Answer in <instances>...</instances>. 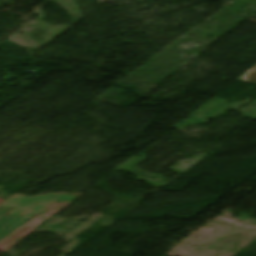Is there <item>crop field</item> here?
I'll list each match as a JSON object with an SVG mask.
<instances>
[{
	"mask_svg": "<svg viewBox=\"0 0 256 256\" xmlns=\"http://www.w3.org/2000/svg\"><path fill=\"white\" fill-rule=\"evenodd\" d=\"M238 80L256 85V66L239 77Z\"/></svg>",
	"mask_w": 256,
	"mask_h": 256,
	"instance_id": "34b2d1b8",
	"label": "crop field"
},
{
	"mask_svg": "<svg viewBox=\"0 0 256 256\" xmlns=\"http://www.w3.org/2000/svg\"><path fill=\"white\" fill-rule=\"evenodd\" d=\"M82 194H53V195H46V196H38V197H30L27 198L24 195L15 194L10 199L18 200L21 202L33 204L40 207H48L51 204H57L61 202H65L70 204L76 198H78Z\"/></svg>",
	"mask_w": 256,
	"mask_h": 256,
	"instance_id": "ac0d7876",
	"label": "crop field"
},
{
	"mask_svg": "<svg viewBox=\"0 0 256 256\" xmlns=\"http://www.w3.org/2000/svg\"><path fill=\"white\" fill-rule=\"evenodd\" d=\"M43 210L10 199L5 201L0 205V240Z\"/></svg>",
	"mask_w": 256,
	"mask_h": 256,
	"instance_id": "8a807250",
	"label": "crop field"
}]
</instances>
